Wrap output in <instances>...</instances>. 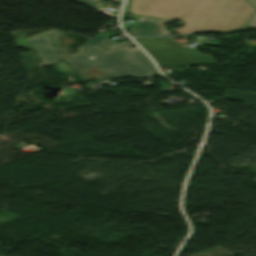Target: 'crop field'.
<instances>
[{
    "label": "crop field",
    "mask_w": 256,
    "mask_h": 256,
    "mask_svg": "<svg viewBox=\"0 0 256 256\" xmlns=\"http://www.w3.org/2000/svg\"><path fill=\"white\" fill-rule=\"evenodd\" d=\"M58 30L40 32L31 37L16 38L17 47L26 46L36 50L43 65L64 61L74 67L82 82L89 79L83 73L92 66L109 78L159 76L148 58L136 47L126 43L114 45L103 35L90 39L76 54L64 59L67 53L59 46ZM55 45V46H52Z\"/></svg>",
    "instance_id": "1"
},
{
    "label": "crop field",
    "mask_w": 256,
    "mask_h": 256,
    "mask_svg": "<svg viewBox=\"0 0 256 256\" xmlns=\"http://www.w3.org/2000/svg\"><path fill=\"white\" fill-rule=\"evenodd\" d=\"M129 10L134 15L180 19L184 27L173 32L184 35L239 31L256 11L247 0H131Z\"/></svg>",
    "instance_id": "2"
},
{
    "label": "crop field",
    "mask_w": 256,
    "mask_h": 256,
    "mask_svg": "<svg viewBox=\"0 0 256 256\" xmlns=\"http://www.w3.org/2000/svg\"><path fill=\"white\" fill-rule=\"evenodd\" d=\"M157 62L159 67L215 64L213 57L202 55L194 48H182L169 37L134 38Z\"/></svg>",
    "instance_id": "3"
},
{
    "label": "crop field",
    "mask_w": 256,
    "mask_h": 256,
    "mask_svg": "<svg viewBox=\"0 0 256 256\" xmlns=\"http://www.w3.org/2000/svg\"><path fill=\"white\" fill-rule=\"evenodd\" d=\"M171 22L151 17L140 16L136 24L130 28L132 36H154L171 34L164 29V23Z\"/></svg>",
    "instance_id": "4"
},
{
    "label": "crop field",
    "mask_w": 256,
    "mask_h": 256,
    "mask_svg": "<svg viewBox=\"0 0 256 256\" xmlns=\"http://www.w3.org/2000/svg\"><path fill=\"white\" fill-rule=\"evenodd\" d=\"M75 1L83 3V4L90 6L94 9H96L99 5L102 4V2H99L97 0H75Z\"/></svg>",
    "instance_id": "5"
},
{
    "label": "crop field",
    "mask_w": 256,
    "mask_h": 256,
    "mask_svg": "<svg viewBox=\"0 0 256 256\" xmlns=\"http://www.w3.org/2000/svg\"><path fill=\"white\" fill-rule=\"evenodd\" d=\"M253 6L256 7V0H248ZM247 25L256 28V13L253 15V17L250 19V21L247 23Z\"/></svg>",
    "instance_id": "6"
}]
</instances>
